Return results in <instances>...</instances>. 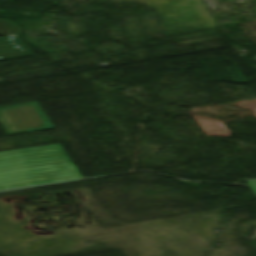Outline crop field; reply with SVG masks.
Segmentation results:
<instances>
[{
	"label": "crop field",
	"instance_id": "ac0d7876",
	"mask_svg": "<svg viewBox=\"0 0 256 256\" xmlns=\"http://www.w3.org/2000/svg\"><path fill=\"white\" fill-rule=\"evenodd\" d=\"M0 125L6 135L54 128L37 102L0 107Z\"/></svg>",
	"mask_w": 256,
	"mask_h": 256
},
{
	"label": "crop field",
	"instance_id": "34b2d1b8",
	"mask_svg": "<svg viewBox=\"0 0 256 256\" xmlns=\"http://www.w3.org/2000/svg\"><path fill=\"white\" fill-rule=\"evenodd\" d=\"M21 31L22 28L13 21L0 19V35L12 36L0 38V60L32 55L30 49L22 45L17 37Z\"/></svg>",
	"mask_w": 256,
	"mask_h": 256
},
{
	"label": "crop field",
	"instance_id": "8a807250",
	"mask_svg": "<svg viewBox=\"0 0 256 256\" xmlns=\"http://www.w3.org/2000/svg\"><path fill=\"white\" fill-rule=\"evenodd\" d=\"M60 146L0 153V190L82 178Z\"/></svg>",
	"mask_w": 256,
	"mask_h": 256
},
{
	"label": "crop field",
	"instance_id": "412701ff",
	"mask_svg": "<svg viewBox=\"0 0 256 256\" xmlns=\"http://www.w3.org/2000/svg\"><path fill=\"white\" fill-rule=\"evenodd\" d=\"M247 182L256 190V180L255 181H247Z\"/></svg>",
	"mask_w": 256,
	"mask_h": 256
}]
</instances>
